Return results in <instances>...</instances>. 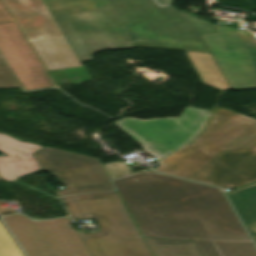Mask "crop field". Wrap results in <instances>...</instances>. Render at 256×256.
I'll return each instance as SVG.
<instances>
[{
  "label": "crop field",
  "mask_w": 256,
  "mask_h": 256,
  "mask_svg": "<svg viewBox=\"0 0 256 256\" xmlns=\"http://www.w3.org/2000/svg\"><path fill=\"white\" fill-rule=\"evenodd\" d=\"M226 194L256 242V183Z\"/></svg>",
  "instance_id": "22f410ed"
},
{
  "label": "crop field",
  "mask_w": 256,
  "mask_h": 256,
  "mask_svg": "<svg viewBox=\"0 0 256 256\" xmlns=\"http://www.w3.org/2000/svg\"><path fill=\"white\" fill-rule=\"evenodd\" d=\"M16 22L0 24V52L26 91L52 87Z\"/></svg>",
  "instance_id": "28ad6ade"
},
{
  "label": "crop field",
  "mask_w": 256,
  "mask_h": 256,
  "mask_svg": "<svg viewBox=\"0 0 256 256\" xmlns=\"http://www.w3.org/2000/svg\"><path fill=\"white\" fill-rule=\"evenodd\" d=\"M203 83L219 89H229L211 53L185 51Z\"/></svg>",
  "instance_id": "cbeb9de0"
},
{
  "label": "crop field",
  "mask_w": 256,
  "mask_h": 256,
  "mask_svg": "<svg viewBox=\"0 0 256 256\" xmlns=\"http://www.w3.org/2000/svg\"><path fill=\"white\" fill-rule=\"evenodd\" d=\"M22 87L0 54V88Z\"/></svg>",
  "instance_id": "733c2abd"
},
{
  "label": "crop field",
  "mask_w": 256,
  "mask_h": 256,
  "mask_svg": "<svg viewBox=\"0 0 256 256\" xmlns=\"http://www.w3.org/2000/svg\"><path fill=\"white\" fill-rule=\"evenodd\" d=\"M155 171L220 187L256 181V121L218 108L205 131Z\"/></svg>",
  "instance_id": "ac0d7876"
},
{
  "label": "crop field",
  "mask_w": 256,
  "mask_h": 256,
  "mask_svg": "<svg viewBox=\"0 0 256 256\" xmlns=\"http://www.w3.org/2000/svg\"><path fill=\"white\" fill-rule=\"evenodd\" d=\"M113 182L144 237L192 240L201 256H256L219 188L148 171Z\"/></svg>",
  "instance_id": "8a807250"
},
{
  "label": "crop field",
  "mask_w": 256,
  "mask_h": 256,
  "mask_svg": "<svg viewBox=\"0 0 256 256\" xmlns=\"http://www.w3.org/2000/svg\"><path fill=\"white\" fill-rule=\"evenodd\" d=\"M111 179L120 177L126 174H130V171L126 165V163L115 162L111 164L104 165Z\"/></svg>",
  "instance_id": "4a817a6b"
},
{
  "label": "crop field",
  "mask_w": 256,
  "mask_h": 256,
  "mask_svg": "<svg viewBox=\"0 0 256 256\" xmlns=\"http://www.w3.org/2000/svg\"><path fill=\"white\" fill-rule=\"evenodd\" d=\"M45 70L82 65L42 0H3Z\"/></svg>",
  "instance_id": "dd49c442"
},
{
  "label": "crop field",
  "mask_w": 256,
  "mask_h": 256,
  "mask_svg": "<svg viewBox=\"0 0 256 256\" xmlns=\"http://www.w3.org/2000/svg\"><path fill=\"white\" fill-rule=\"evenodd\" d=\"M138 47L209 52L199 34L215 25L154 0H111Z\"/></svg>",
  "instance_id": "34b2d1b8"
},
{
  "label": "crop field",
  "mask_w": 256,
  "mask_h": 256,
  "mask_svg": "<svg viewBox=\"0 0 256 256\" xmlns=\"http://www.w3.org/2000/svg\"><path fill=\"white\" fill-rule=\"evenodd\" d=\"M209 113L207 110L185 107L179 118L140 120L126 117L114 124L159 161L196 136L205 125Z\"/></svg>",
  "instance_id": "e52e79f7"
},
{
  "label": "crop field",
  "mask_w": 256,
  "mask_h": 256,
  "mask_svg": "<svg viewBox=\"0 0 256 256\" xmlns=\"http://www.w3.org/2000/svg\"><path fill=\"white\" fill-rule=\"evenodd\" d=\"M28 256H90L69 218L30 221L22 215L2 217Z\"/></svg>",
  "instance_id": "d8731c3e"
},
{
  "label": "crop field",
  "mask_w": 256,
  "mask_h": 256,
  "mask_svg": "<svg viewBox=\"0 0 256 256\" xmlns=\"http://www.w3.org/2000/svg\"><path fill=\"white\" fill-rule=\"evenodd\" d=\"M218 33L201 35L230 89L256 88V46L241 43L235 28L215 24Z\"/></svg>",
  "instance_id": "3316defc"
},
{
  "label": "crop field",
  "mask_w": 256,
  "mask_h": 256,
  "mask_svg": "<svg viewBox=\"0 0 256 256\" xmlns=\"http://www.w3.org/2000/svg\"><path fill=\"white\" fill-rule=\"evenodd\" d=\"M2 179H1V177H0V181H1Z\"/></svg>",
  "instance_id": "92a150f3"
},
{
  "label": "crop field",
  "mask_w": 256,
  "mask_h": 256,
  "mask_svg": "<svg viewBox=\"0 0 256 256\" xmlns=\"http://www.w3.org/2000/svg\"><path fill=\"white\" fill-rule=\"evenodd\" d=\"M159 2V4L161 5H165V4H171L172 1L171 0H157Z\"/></svg>",
  "instance_id": "214f88e0"
},
{
  "label": "crop field",
  "mask_w": 256,
  "mask_h": 256,
  "mask_svg": "<svg viewBox=\"0 0 256 256\" xmlns=\"http://www.w3.org/2000/svg\"><path fill=\"white\" fill-rule=\"evenodd\" d=\"M43 1L81 61L101 50L136 47L110 0Z\"/></svg>",
  "instance_id": "412701ff"
},
{
  "label": "crop field",
  "mask_w": 256,
  "mask_h": 256,
  "mask_svg": "<svg viewBox=\"0 0 256 256\" xmlns=\"http://www.w3.org/2000/svg\"><path fill=\"white\" fill-rule=\"evenodd\" d=\"M0 256H24L1 223Z\"/></svg>",
  "instance_id": "d9b57169"
},
{
  "label": "crop field",
  "mask_w": 256,
  "mask_h": 256,
  "mask_svg": "<svg viewBox=\"0 0 256 256\" xmlns=\"http://www.w3.org/2000/svg\"><path fill=\"white\" fill-rule=\"evenodd\" d=\"M62 202L72 219L97 220L98 232L77 231L91 256H153L116 191L63 197Z\"/></svg>",
  "instance_id": "f4fd0767"
},
{
  "label": "crop field",
  "mask_w": 256,
  "mask_h": 256,
  "mask_svg": "<svg viewBox=\"0 0 256 256\" xmlns=\"http://www.w3.org/2000/svg\"><path fill=\"white\" fill-rule=\"evenodd\" d=\"M154 256H200L192 241L143 238Z\"/></svg>",
  "instance_id": "5142ce71"
},
{
  "label": "crop field",
  "mask_w": 256,
  "mask_h": 256,
  "mask_svg": "<svg viewBox=\"0 0 256 256\" xmlns=\"http://www.w3.org/2000/svg\"><path fill=\"white\" fill-rule=\"evenodd\" d=\"M41 146L20 142L0 134V151L10 155L0 157V176L4 181H16L17 177L39 170L32 153Z\"/></svg>",
  "instance_id": "d1516ede"
},
{
  "label": "crop field",
  "mask_w": 256,
  "mask_h": 256,
  "mask_svg": "<svg viewBox=\"0 0 256 256\" xmlns=\"http://www.w3.org/2000/svg\"><path fill=\"white\" fill-rule=\"evenodd\" d=\"M14 18L10 14L9 10L5 6L2 0H0V22L12 21Z\"/></svg>",
  "instance_id": "bc2a9ffb"
},
{
  "label": "crop field",
  "mask_w": 256,
  "mask_h": 256,
  "mask_svg": "<svg viewBox=\"0 0 256 256\" xmlns=\"http://www.w3.org/2000/svg\"><path fill=\"white\" fill-rule=\"evenodd\" d=\"M33 156L42 171L66 186L65 190L56 191L58 196L114 189L96 158L48 147L34 152Z\"/></svg>",
  "instance_id": "5a996713"
}]
</instances>
